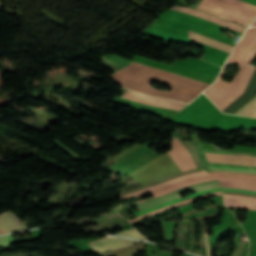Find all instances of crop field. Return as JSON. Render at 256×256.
I'll return each mask as SVG.
<instances>
[{
  "label": "crop field",
  "instance_id": "8a807250",
  "mask_svg": "<svg viewBox=\"0 0 256 256\" xmlns=\"http://www.w3.org/2000/svg\"><path fill=\"white\" fill-rule=\"evenodd\" d=\"M112 76L116 83L125 88L158 97H168L185 103L190 102L209 85L134 62ZM153 80L167 83L172 88L170 91L155 90L148 86Z\"/></svg>",
  "mask_w": 256,
  "mask_h": 256
},
{
  "label": "crop field",
  "instance_id": "ac0d7876",
  "mask_svg": "<svg viewBox=\"0 0 256 256\" xmlns=\"http://www.w3.org/2000/svg\"><path fill=\"white\" fill-rule=\"evenodd\" d=\"M228 66L229 64L225 65L216 82L204 91L221 111L243 94L255 70V67L249 65L240 66L232 81L227 83L221 81V79Z\"/></svg>",
  "mask_w": 256,
  "mask_h": 256
},
{
  "label": "crop field",
  "instance_id": "34b2d1b8",
  "mask_svg": "<svg viewBox=\"0 0 256 256\" xmlns=\"http://www.w3.org/2000/svg\"><path fill=\"white\" fill-rule=\"evenodd\" d=\"M198 8L246 26L256 16V7L240 0H203Z\"/></svg>",
  "mask_w": 256,
  "mask_h": 256
},
{
  "label": "crop field",
  "instance_id": "412701ff",
  "mask_svg": "<svg viewBox=\"0 0 256 256\" xmlns=\"http://www.w3.org/2000/svg\"><path fill=\"white\" fill-rule=\"evenodd\" d=\"M218 180L221 184H223V187H229V188H239V189H246V190H254L256 191V180L254 179H246V178H238V177H230V176H218V175H209L206 177H201V178H197V179H193L190 181H186L177 185H174L172 187L163 189V190H159V191H155L153 193H151L154 197L160 196V195H164L167 194L169 192H172L174 190H177L179 188L191 185V184H195V183H199V182H205V181H210V180ZM153 198V197H150ZM147 198V199H150ZM144 199V200H147ZM142 200V201H144ZM141 202V201H139ZM138 203V202H136Z\"/></svg>",
  "mask_w": 256,
  "mask_h": 256
},
{
  "label": "crop field",
  "instance_id": "f4fd0767",
  "mask_svg": "<svg viewBox=\"0 0 256 256\" xmlns=\"http://www.w3.org/2000/svg\"><path fill=\"white\" fill-rule=\"evenodd\" d=\"M256 55V28L247 29L240 43L227 62L237 64H250Z\"/></svg>",
  "mask_w": 256,
  "mask_h": 256
},
{
  "label": "crop field",
  "instance_id": "dd49c442",
  "mask_svg": "<svg viewBox=\"0 0 256 256\" xmlns=\"http://www.w3.org/2000/svg\"><path fill=\"white\" fill-rule=\"evenodd\" d=\"M122 97L131 99V100H135V101L147 104V105L164 107V108L173 109V110H177V111H180L186 105V104L180 103V102L168 101V100H163V99L146 96V95L139 94V93L129 91V90H127Z\"/></svg>",
  "mask_w": 256,
  "mask_h": 256
},
{
  "label": "crop field",
  "instance_id": "e52e79f7",
  "mask_svg": "<svg viewBox=\"0 0 256 256\" xmlns=\"http://www.w3.org/2000/svg\"><path fill=\"white\" fill-rule=\"evenodd\" d=\"M208 174L232 175V176H244V177L256 178V176H250V175H238V174H228V173H206V171L204 170V171H200V172H197V173L180 176V177H177V178H174V179H171V180L159 183L157 185H154V186H151V187H148V188H145V189H142V190L130 193L128 195H123L121 197H122V199H124V198L130 197V196L141 194L143 192L152 190V189L160 187V186H162V187L157 188L155 190L163 189V188L169 187L171 185L177 184L179 182H182V181H185V180H189V179H193V178L200 177V176H204V175H208ZM155 190H152V191H155ZM152 191H149V192H152ZM149 192H146L144 194H147ZM144 194H141V195H144ZM141 195H138L136 197H139Z\"/></svg>",
  "mask_w": 256,
  "mask_h": 256
},
{
  "label": "crop field",
  "instance_id": "d8731c3e",
  "mask_svg": "<svg viewBox=\"0 0 256 256\" xmlns=\"http://www.w3.org/2000/svg\"><path fill=\"white\" fill-rule=\"evenodd\" d=\"M182 171L196 168L185 146L176 138L172 140V149L167 151Z\"/></svg>",
  "mask_w": 256,
  "mask_h": 256
},
{
  "label": "crop field",
  "instance_id": "5a996713",
  "mask_svg": "<svg viewBox=\"0 0 256 256\" xmlns=\"http://www.w3.org/2000/svg\"><path fill=\"white\" fill-rule=\"evenodd\" d=\"M137 242L139 241L127 240V239H122V238H117L112 236L89 241L90 245L93 247V249L96 251L97 254H100L107 250L131 245Z\"/></svg>",
  "mask_w": 256,
  "mask_h": 256
},
{
  "label": "crop field",
  "instance_id": "3316defc",
  "mask_svg": "<svg viewBox=\"0 0 256 256\" xmlns=\"http://www.w3.org/2000/svg\"><path fill=\"white\" fill-rule=\"evenodd\" d=\"M172 10H176V11H179V12H183V13H187V14H190V15H194V16L203 18L205 20H208V21L220 24L222 26L234 29L236 31L242 32V33L245 30V27H241V26L235 25V24H233L231 22H228V21H226L224 19H221V18H218L216 16L207 14V13L202 12V11H198V10H194V9H190V8H181V7H173Z\"/></svg>",
  "mask_w": 256,
  "mask_h": 256
},
{
  "label": "crop field",
  "instance_id": "28ad6ade",
  "mask_svg": "<svg viewBox=\"0 0 256 256\" xmlns=\"http://www.w3.org/2000/svg\"><path fill=\"white\" fill-rule=\"evenodd\" d=\"M182 142V141H181ZM186 148L189 150L194 162L196 163L197 167L196 169H192V170H188V171H184V172H181V173H178V174H175V175H171V176H168V177H165V178H162V179H159V180H156L154 182H151V183H148L146 185H143V186H140V187H137V188H134V189H131V190H127V191H124L123 194H126V193H129V192H133V191H136V190H139V189H142V188H145V187H148V186H151V185H154V184H157L159 182H162V181H165V180H168V179H171V178H174V177H177V176H180V175H184V174H188V173H192V172H196V171H200V170H204V167L192 145L191 142H182ZM122 194V195H123Z\"/></svg>",
  "mask_w": 256,
  "mask_h": 256
},
{
  "label": "crop field",
  "instance_id": "d1516ede",
  "mask_svg": "<svg viewBox=\"0 0 256 256\" xmlns=\"http://www.w3.org/2000/svg\"><path fill=\"white\" fill-rule=\"evenodd\" d=\"M219 187H222L221 184H219L218 182H215V183H209V184L197 186V187L190 188V189L194 190V192H198V191H202V190H206V189L219 188ZM184 191H186V190H184ZM181 192H183V191H181ZM181 192H178V193H175V194L163 197V198H161L159 200H156V201H153V202H150V203H147V204L136 206L135 208H137V209H139V211H141V210H144V209H147V208H150V207H153V206L165 203L167 201H170V200H173V199L181 197L180 196Z\"/></svg>",
  "mask_w": 256,
  "mask_h": 256
},
{
  "label": "crop field",
  "instance_id": "22f410ed",
  "mask_svg": "<svg viewBox=\"0 0 256 256\" xmlns=\"http://www.w3.org/2000/svg\"><path fill=\"white\" fill-rule=\"evenodd\" d=\"M225 205L256 210V198L224 194Z\"/></svg>",
  "mask_w": 256,
  "mask_h": 256
},
{
  "label": "crop field",
  "instance_id": "cbeb9de0",
  "mask_svg": "<svg viewBox=\"0 0 256 256\" xmlns=\"http://www.w3.org/2000/svg\"><path fill=\"white\" fill-rule=\"evenodd\" d=\"M189 38L193 39V40H196L198 42L210 45L212 47L224 50V51L229 52V53H231V51L233 49V46H230V45L222 43L220 41L211 39L209 37L203 36L201 34L195 33V32L190 31V30H189Z\"/></svg>",
  "mask_w": 256,
  "mask_h": 256
},
{
  "label": "crop field",
  "instance_id": "5142ce71",
  "mask_svg": "<svg viewBox=\"0 0 256 256\" xmlns=\"http://www.w3.org/2000/svg\"><path fill=\"white\" fill-rule=\"evenodd\" d=\"M0 222L10 231L24 230L25 227L18 217L7 211L0 214Z\"/></svg>",
  "mask_w": 256,
  "mask_h": 256
},
{
  "label": "crop field",
  "instance_id": "d9b57169",
  "mask_svg": "<svg viewBox=\"0 0 256 256\" xmlns=\"http://www.w3.org/2000/svg\"><path fill=\"white\" fill-rule=\"evenodd\" d=\"M211 195H222V191H220V192H214V193H208V194H204V195H200V196H197V197L192 198V199H188V200L181 201V202H178V203H175V204H172V205H168V206L162 207V208H160V209L154 210V211H152V212H149V213H147V214L141 215V216L137 217L136 219H133V220H130V221H131V223H133V222H136V221H138V220L144 219V218H146V217H149V216L158 214V213H160V212L166 211V210L171 209V208H173V207H177V206H179V205H181V204H186V203H188V202L195 201V200H197V199H199V198H203V197H207V196H211Z\"/></svg>",
  "mask_w": 256,
  "mask_h": 256
},
{
  "label": "crop field",
  "instance_id": "733c2abd",
  "mask_svg": "<svg viewBox=\"0 0 256 256\" xmlns=\"http://www.w3.org/2000/svg\"><path fill=\"white\" fill-rule=\"evenodd\" d=\"M204 167L206 168L207 172H211L210 171V167L209 165H216V166H232V167H246L247 166H240V165H227V164H214V163H207L206 158H205V154L204 152H217V153H221V154H229L226 151H214V150H206V149H202L201 147V143L200 142H192Z\"/></svg>",
  "mask_w": 256,
  "mask_h": 256
},
{
  "label": "crop field",
  "instance_id": "4a817a6b",
  "mask_svg": "<svg viewBox=\"0 0 256 256\" xmlns=\"http://www.w3.org/2000/svg\"><path fill=\"white\" fill-rule=\"evenodd\" d=\"M205 154L208 162L245 165L241 161L233 157L232 155H218V154H209V153H205Z\"/></svg>",
  "mask_w": 256,
  "mask_h": 256
},
{
  "label": "crop field",
  "instance_id": "bc2a9ffb",
  "mask_svg": "<svg viewBox=\"0 0 256 256\" xmlns=\"http://www.w3.org/2000/svg\"><path fill=\"white\" fill-rule=\"evenodd\" d=\"M222 190V188H219V189H212V190H207V191H203V192H198V193H193V194H189L187 196H184L180 199H177V200H174V201H171V202H168V203H165V204H162V205H159V206H156V207H153V208H150V209H147L145 211H142V212H139V213H136V214H133L134 216H139L141 214H144V213H147L149 211H152L154 209H157V208H160L162 206H165V205H168V204H171V203H175V202H178V201H181V200H185V199H188V198H191V197H194L196 195H200V194H204V193H208V192H214V191H220Z\"/></svg>",
  "mask_w": 256,
  "mask_h": 256
},
{
  "label": "crop field",
  "instance_id": "214f88e0",
  "mask_svg": "<svg viewBox=\"0 0 256 256\" xmlns=\"http://www.w3.org/2000/svg\"><path fill=\"white\" fill-rule=\"evenodd\" d=\"M255 112H256V97L235 114L251 116Z\"/></svg>",
  "mask_w": 256,
  "mask_h": 256
},
{
  "label": "crop field",
  "instance_id": "92a150f3",
  "mask_svg": "<svg viewBox=\"0 0 256 256\" xmlns=\"http://www.w3.org/2000/svg\"><path fill=\"white\" fill-rule=\"evenodd\" d=\"M115 235H121V236H127V237H132V238H138V239H144L146 240L144 237H142L136 230L131 229L128 231H124Z\"/></svg>",
  "mask_w": 256,
  "mask_h": 256
},
{
  "label": "crop field",
  "instance_id": "dafd665d",
  "mask_svg": "<svg viewBox=\"0 0 256 256\" xmlns=\"http://www.w3.org/2000/svg\"><path fill=\"white\" fill-rule=\"evenodd\" d=\"M15 243L13 235L0 237V247Z\"/></svg>",
  "mask_w": 256,
  "mask_h": 256
},
{
  "label": "crop field",
  "instance_id": "00972430",
  "mask_svg": "<svg viewBox=\"0 0 256 256\" xmlns=\"http://www.w3.org/2000/svg\"><path fill=\"white\" fill-rule=\"evenodd\" d=\"M212 172H217V171H222V172H235V173H241V174H251V175H256L255 172H248V171H232V170H216V169H211Z\"/></svg>",
  "mask_w": 256,
  "mask_h": 256
},
{
  "label": "crop field",
  "instance_id": "a9b5d70f",
  "mask_svg": "<svg viewBox=\"0 0 256 256\" xmlns=\"http://www.w3.org/2000/svg\"><path fill=\"white\" fill-rule=\"evenodd\" d=\"M237 158H248L251 159L252 156H243V155H234ZM243 163L250 165L251 166V160H245V159H240Z\"/></svg>",
  "mask_w": 256,
  "mask_h": 256
},
{
  "label": "crop field",
  "instance_id": "4177f3b9",
  "mask_svg": "<svg viewBox=\"0 0 256 256\" xmlns=\"http://www.w3.org/2000/svg\"><path fill=\"white\" fill-rule=\"evenodd\" d=\"M205 251H206V255L210 256L209 242H208V233L205 234Z\"/></svg>",
  "mask_w": 256,
  "mask_h": 256
},
{
  "label": "crop field",
  "instance_id": "730fd06b",
  "mask_svg": "<svg viewBox=\"0 0 256 256\" xmlns=\"http://www.w3.org/2000/svg\"><path fill=\"white\" fill-rule=\"evenodd\" d=\"M211 168H216V169H234V170H249L252 171L251 169H244V168H231V167H215V166H210Z\"/></svg>",
  "mask_w": 256,
  "mask_h": 256
},
{
  "label": "crop field",
  "instance_id": "eef30255",
  "mask_svg": "<svg viewBox=\"0 0 256 256\" xmlns=\"http://www.w3.org/2000/svg\"><path fill=\"white\" fill-rule=\"evenodd\" d=\"M216 180H214V181H210V182H215ZM206 183H209V182H206ZM201 184H204V183H200V184H195V185H192V186H189V187H185V188H182V189H186V188H190V187H194V186H197V185H201ZM179 190H181V189H179ZM179 190H177V191H179ZM174 192H176V191H174ZM174 192H172V193H174ZM169 194H171V193H169ZM168 195V194H167ZM164 196H166V195H164ZM161 197H163V196H161ZM161 197H158V198H161ZM158 198H155V199H158ZM155 199H152V200H155ZM149 201H151V200H149ZM147 202V201H146ZM142 203H144V202H142ZM139 204H141V203H139ZM136 205H138V204H136Z\"/></svg>",
  "mask_w": 256,
  "mask_h": 256
},
{
  "label": "crop field",
  "instance_id": "ae1a2a85",
  "mask_svg": "<svg viewBox=\"0 0 256 256\" xmlns=\"http://www.w3.org/2000/svg\"><path fill=\"white\" fill-rule=\"evenodd\" d=\"M224 190H231V191H240V192H247L251 194H256V192H251V191H245V190H239V189H229V188H223Z\"/></svg>",
  "mask_w": 256,
  "mask_h": 256
},
{
  "label": "crop field",
  "instance_id": "d3111659",
  "mask_svg": "<svg viewBox=\"0 0 256 256\" xmlns=\"http://www.w3.org/2000/svg\"><path fill=\"white\" fill-rule=\"evenodd\" d=\"M224 193H231V194H238V195L256 197V195H251V194H246V193H236V192H226V191H224Z\"/></svg>",
  "mask_w": 256,
  "mask_h": 256
},
{
  "label": "crop field",
  "instance_id": "750c4746",
  "mask_svg": "<svg viewBox=\"0 0 256 256\" xmlns=\"http://www.w3.org/2000/svg\"><path fill=\"white\" fill-rule=\"evenodd\" d=\"M241 244H242V242H240L239 243V247H238V251H237V254H236V256H238L239 255V252H240V248H241ZM244 242H243V244H242V248H241V252H240V256L242 255V251H243V248H244Z\"/></svg>",
  "mask_w": 256,
  "mask_h": 256
},
{
  "label": "crop field",
  "instance_id": "bd1437ed",
  "mask_svg": "<svg viewBox=\"0 0 256 256\" xmlns=\"http://www.w3.org/2000/svg\"><path fill=\"white\" fill-rule=\"evenodd\" d=\"M232 154H245V155H252L253 153H240V152H230Z\"/></svg>",
  "mask_w": 256,
  "mask_h": 256
},
{
  "label": "crop field",
  "instance_id": "1d83c4d3",
  "mask_svg": "<svg viewBox=\"0 0 256 256\" xmlns=\"http://www.w3.org/2000/svg\"><path fill=\"white\" fill-rule=\"evenodd\" d=\"M0 228H2L5 231V233L9 232L1 223H0Z\"/></svg>",
  "mask_w": 256,
  "mask_h": 256
},
{
  "label": "crop field",
  "instance_id": "120bbe31",
  "mask_svg": "<svg viewBox=\"0 0 256 256\" xmlns=\"http://www.w3.org/2000/svg\"><path fill=\"white\" fill-rule=\"evenodd\" d=\"M253 163H256V156L253 158ZM253 166H256V164H253Z\"/></svg>",
  "mask_w": 256,
  "mask_h": 256
},
{
  "label": "crop field",
  "instance_id": "d32e631a",
  "mask_svg": "<svg viewBox=\"0 0 256 256\" xmlns=\"http://www.w3.org/2000/svg\"><path fill=\"white\" fill-rule=\"evenodd\" d=\"M251 26H256V20L253 22V24Z\"/></svg>",
  "mask_w": 256,
  "mask_h": 256
},
{
  "label": "crop field",
  "instance_id": "5866460e",
  "mask_svg": "<svg viewBox=\"0 0 256 256\" xmlns=\"http://www.w3.org/2000/svg\"><path fill=\"white\" fill-rule=\"evenodd\" d=\"M3 233H4V231L2 229H0V234H3Z\"/></svg>",
  "mask_w": 256,
  "mask_h": 256
},
{
  "label": "crop field",
  "instance_id": "028f5c9d",
  "mask_svg": "<svg viewBox=\"0 0 256 256\" xmlns=\"http://www.w3.org/2000/svg\"><path fill=\"white\" fill-rule=\"evenodd\" d=\"M253 116L256 117V113Z\"/></svg>",
  "mask_w": 256,
  "mask_h": 256
},
{
  "label": "crop field",
  "instance_id": "e1f06a70",
  "mask_svg": "<svg viewBox=\"0 0 256 256\" xmlns=\"http://www.w3.org/2000/svg\"><path fill=\"white\" fill-rule=\"evenodd\" d=\"M251 168H256V167H251Z\"/></svg>",
  "mask_w": 256,
  "mask_h": 256
},
{
  "label": "crop field",
  "instance_id": "0bd39190",
  "mask_svg": "<svg viewBox=\"0 0 256 256\" xmlns=\"http://www.w3.org/2000/svg\"><path fill=\"white\" fill-rule=\"evenodd\" d=\"M256 172V170H254Z\"/></svg>",
  "mask_w": 256,
  "mask_h": 256
},
{
  "label": "crop field",
  "instance_id": "b80d0937",
  "mask_svg": "<svg viewBox=\"0 0 256 256\" xmlns=\"http://www.w3.org/2000/svg\"><path fill=\"white\" fill-rule=\"evenodd\" d=\"M254 155H256V154H254Z\"/></svg>",
  "mask_w": 256,
  "mask_h": 256
}]
</instances>
